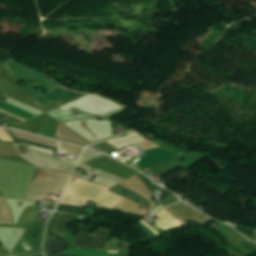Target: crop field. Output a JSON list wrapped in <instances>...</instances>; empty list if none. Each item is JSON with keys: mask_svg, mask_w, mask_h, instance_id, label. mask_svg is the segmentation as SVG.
I'll list each match as a JSON object with an SVG mask.
<instances>
[{"mask_svg": "<svg viewBox=\"0 0 256 256\" xmlns=\"http://www.w3.org/2000/svg\"><path fill=\"white\" fill-rule=\"evenodd\" d=\"M70 219L68 215L55 213L49 223L47 236L62 237L65 232V226ZM90 228L86 226L80 227L81 232L77 235L74 245L93 249H105L109 230L100 228L95 235H89Z\"/></svg>", "mask_w": 256, "mask_h": 256, "instance_id": "1", "label": "crop field"}, {"mask_svg": "<svg viewBox=\"0 0 256 256\" xmlns=\"http://www.w3.org/2000/svg\"><path fill=\"white\" fill-rule=\"evenodd\" d=\"M64 195L94 200L111 209L122 199V197L108 191L107 188L85 180H79L69 185Z\"/></svg>", "mask_w": 256, "mask_h": 256, "instance_id": "2", "label": "crop field"}, {"mask_svg": "<svg viewBox=\"0 0 256 256\" xmlns=\"http://www.w3.org/2000/svg\"><path fill=\"white\" fill-rule=\"evenodd\" d=\"M4 65L16 76L19 82L25 80L30 85L32 89L31 90L25 89V91H27L35 99L43 95L34 88L31 80H34L35 82L46 87L50 91L60 86L59 84H57L56 82H54L53 80L45 76L43 73L31 67L25 66L13 59L7 61Z\"/></svg>", "mask_w": 256, "mask_h": 256, "instance_id": "3", "label": "crop field"}, {"mask_svg": "<svg viewBox=\"0 0 256 256\" xmlns=\"http://www.w3.org/2000/svg\"><path fill=\"white\" fill-rule=\"evenodd\" d=\"M143 154L144 156L141 157L137 162V165L143 170L159 164L167 159L179 156V154L176 152L164 148H157L144 152Z\"/></svg>", "mask_w": 256, "mask_h": 256, "instance_id": "4", "label": "crop field"}, {"mask_svg": "<svg viewBox=\"0 0 256 256\" xmlns=\"http://www.w3.org/2000/svg\"><path fill=\"white\" fill-rule=\"evenodd\" d=\"M87 93H81V92H76V91H71L68 89H65L63 87L43 96L42 98L34 101L36 102L38 105H40L41 107L56 101L58 99L62 100L63 102L67 103L71 100H74L80 96H83Z\"/></svg>", "mask_w": 256, "mask_h": 256, "instance_id": "5", "label": "crop field"}, {"mask_svg": "<svg viewBox=\"0 0 256 256\" xmlns=\"http://www.w3.org/2000/svg\"><path fill=\"white\" fill-rule=\"evenodd\" d=\"M109 190H111L129 200H132L146 208L149 207V205H150V203L147 200L143 199L142 197L138 196L137 194L133 193L132 191L128 190L127 188H125L119 184Z\"/></svg>", "mask_w": 256, "mask_h": 256, "instance_id": "6", "label": "crop field"}, {"mask_svg": "<svg viewBox=\"0 0 256 256\" xmlns=\"http://www.w3.org/2000/svg\"><path fill=\"white\" fill-rule=\"evenodd\" d=\"M0 109L6 111V112H8V113H11V114H13V115H15V116H18V117H20V118H22V119H24V120H27V119H29V118L35 116L34 114H32V113H30V112H27V111H25V110H22V109H20V108H18V107H15V106H13V105H10V104H8V103H6V102H3V103L0 104ZM0 111H1V110H0ZM4 111H2V112H4ZM6 112H4V113H6ZM8 113H6V114H8ZM11 114H8V115L13 116V115H11ZM15 116H13V117H15ZM16 118H17V117H16ZM20 118H19V119H20ZM22 119H21V120H22ZM24 120H23V121H24Z\"/></svg>", "mask_w": 256, "mask_h": 256, "instance_id": "7", "label": "crop field"}, {"mask_svg": "<svg viewBox=\"0 0 256 256\" xmlns=\"http://www.w3.org/2000/svg\"><path fill=\"white\" fill-rule=\"evenodd\" d=\"M64 248H65V244L61 243L55 239H51V238H46L45 240V246H44V250L47 252H59V253H63L64 252ZM110 252H115V251H110ZM115 253H119V252H115ZM50 256H54V255H50ZM59 256H72V255H62L59 254Z\"/></svg>", "mask_w": 256, "mask_h": 256, "instance_id": "8", "label": "crop field"}, {"mask_svg": "<svg viewBox=\"0 0 256 256\" xmlns=\"http://www.w3.org/2000/svg\"><path fill=\"white\" fill-rule=\"evenodd\" d=\"M38 119L37 117L27 121V122H24L14 128H19V129H23V130H26V131H30V132H33L35 130H37L38 128L42 127L40 126L37 122H35L34 120Z\"/></svg>", "mask_w": 256, "mask_h": 256, "instance_id": "9", "label": "crop field"}, {"mask_svg": "<svg viewBox=\"0 0 256 256\" xmlns=\"http://www.w3.org/2000/svg\"><path fill=\"white\" fill-rule=\"evenodd\" d=\"M83 209L82 207L59 205L57 211L84 215Z\"/></svg>", "mask_w": 256, "mask_h": 256, "instance_id": "10", "label": "crop field"}, {"mask_svg": "<svg viewBox=\"0 0 256 256\" xmlns=\"http://www.w3.org/2000/svg\"><path fill=\"white\" fill-rule=\"evenodd\" d=\"M237 230H239L241 233H243L244 235H246L247 237L253 239L256 241V237H255V229H251V228H247V227H244V226H240L238 225L236 227Z\"/></svg>", "mask_w": 256, "mask_h": 256, "instance_id": "11", "label": "crop field"}, {"mask_svg": "<svg viewBox=\"0 0 256 256\" xmlns=\"http://www.w3.org/2000/svg\"><path fill=\"white\" fill-rule=\"evenodd\" d=\"M142 224H144L148 229H150L154 234H156L157 236L160 235L159 233H157L155 230H153L148 224H146L144 221L141 222ZM139 224L138 227L140 229H142L151 239L157 237L156 235H154L150 230H148L144 225ZM141 230V231H142Z\"/></svg>", "mask_w": 256, "mask_h": 256, "instance_id": "12", "label": "crop field"}, {"mask_svg": "<svg viewBox=\"0 0 256 256\" xmlns=\"http://www.w3.org/2000/svg\"><path fill=\"white\" fill-rule=\"evenodd\" d=\"M86 202L87 201H83V200H75V199L64 198L61 203H63V204H71V205H79V206H84L85 207L86 206Z\"/></svg>", "mask_w": 256, "mask_h": 256, "instance_id": "13", "label": "crop field"}, {"mask_svg": "<svg viewBox=\"0 0 256 256\" xmlns=\"http://www.w3.org/2000/svg\"><path fill=\"white\" fill-rule=\"evenodd\" d=\"M130 244L120 241V256H129Z\"/></svg>", "mask_w": 256, "mask_h": 256, "instance_id": "14", "label": "crop field"}, {"mask_svg": "<svg viewBox=\"0 0 256 256\" xmlns=\"http://www.w3.org/2000/svg\"><path fill=\"white\" fill-rule=\"evenodd\" d=\"M21 140L23 142L27 143V144H31V145H35V146H38V147L46 148V149H49V150L57 151L56 147H52V146H48V145H44V144H40V143L28 141V140H24V139H21Z\"/></svg>", "mask_w": 256, "mask_h": 256, "instance_id": "15", "label": "crop field"}, {"mask_svg": "<svg viewBox=\"0 0 256 256\" xmlns=\"http://www.w3.org/2000/svg\"><path fill=\"white\" fill-rule=\"evenodd\" d=\"M0 139L2 141H13L11 137L3 129H0Z\"/></svg>", "mask_w": 256, "mask_h": 256, "instance_id": "16", "label": "crop field"}, {"mask_svg": "<svg viewBox=\"0 0 256 256\" xmlns=\"http://www.w3.org/2000/svg\"><path fill=\"white\" fill-rule=\"evenodd\" d=\"M8 98H10V97H7V96H5V95H2V96H0V102L6 100V99H8ZM9 117H10V116H8V115H6V114L0 112V122L3 121V120H5V119H7V118H9Z\"/></svg>", "mask_w": 256, "mask_h": 256, "instance_id": "17", "label": "crop field"}, {"mask_svg": "<svg viewBox=\"0 0 256 256\" xmlns=\"http://www.w3.org/2000/svg\"><path fill=\"white\" fill-rule=\"evenodd\" d=\"M224 238L225 242L230 246L232 247L234 250H236L238 253H240L242 256H246L244 253H242L240 250H238L236 247H234L229 241L228 239L218 230L216 229Z\"/></svg>", "mask_w": 256, "mask_h": 256, "instance_id": "18", "label": "crop field"}, {"mask_svg": "<svg viewBox=\"0 0 256 256\" xmlns=\"http://www.w3.org/2000/svg\"><path fill=\"white\" fill-rule=\"evenodd\" d=\"M7 132L10 134V136L13 138V140L15 141V143L17 144H24L23 142H21L18 138H16L13 134V132L11 130H7Z\"/></svg>", "mask_w": 256, "mask_h": 256, "instance_id": "19", "label": "crop field"}]
</instances>
